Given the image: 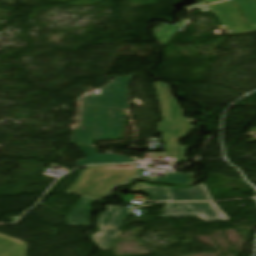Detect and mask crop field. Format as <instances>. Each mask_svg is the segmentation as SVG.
<instances>
[{"instance_id":"5142ce71","label":"crop field","mask_w":256,"mask_h":256,"mask_svg":"<svg viewBox=\"0 0 256 256\" xmlns=\"http://www.w3.org/2000/svg\"><path fill=\"white\" fill-rule=\"evenodd\" d=\"M202 5H206V3L201 1V3H199V4H196V5H193V6H190V7H186V8H183V9L188 10V9H191V8H194V7H198V6H202Z\"/></svg>"},{"instance_id":"cbeb9de0","label":"crop field","mask_w":256,"mask_h":256,"mask_svg":"<svg viewBox=\"0 0 256 256\" xmlns=\"http://www.w3.org/2000/svg\"><path fill=\"white\" fill-rule=\"evenodd\" d=\"M167 176H168L167 179L157 178L156 181L190 184V182H189V176L190 175L167 174Z\"/></svg>"},{"instance_id":"733c2abd","label":"crop field","mask_w":256,"mask_h":256,"mask_svg":"<svg viewBox=\"0 0 256 256\" xmlns=\"http://www.w3.org/2000/svg\"><path fill=\"white\" fill-rule=\"evenodd\" d=\"M199 10L202 11V12H210L209 6L203 7V8H199Z\"/></svg>"},{"instance_id":"ac0d7876","label":"crop field","mask_w":256,"mask_h":256,"mask_svg":"<svg viewBox=\"0 0 256 256\" xmlns=\"http://www.w3.org/2000/svg\"><path fill=\"white\" fill-rule=\"evenodd\" d=\"M160 100L163 122L159 123L166 152L155 153L152 158L168 159L174 164L190 161L183 156L184 147L180 140L187 138L192 131L190 121L185 119V111L173 100L166 83L155 82Z\"/></svg>"},{"instance_id":"34b2d1b8","label":"crop field","mask_w":256,"mask_h":256,"mask_svg":"<svg viewBox=\"0 0 256 256\" xmlns=\"http://www.w3.org/2000/svg\"><path fill=\"white\" fill-rule=\"evenodd\" d=\"M136 164L91 166L82 171L78 181L66 193H76L97 201L109 197L112 187L139 176Z\"/></svg>"},{"instance_id":"5a996713","label":"crop field","mask_w":256,"mask_h":256,"mask_svg":"<svg viewBox=\"0 0 256 256\" xmlns=\"http://www.w3.org/2000/svg\"><path fill=\"white\" fill-rule=\"evenodd\" d=\"M173 201L212 200L204 184L189 189H173L166 187Z\"/></svg>"},{"instance_id":"d9b57169","label":"crop field","mask_w":256,"mask_h":256,"mask_svg":"<svg viewBox=\"0 0 256 256\" xmlns=\"http://www.w3.org/2000/svg\"><path fill=\"white\" fill-rule=\"evenodd\" d=\"M202 1H204V2H206V3H208V4H211V3L220 2V1H222V0H202Z\"/></svg>"},{"instance_id":"3316defc","label":"crop field","mask_w":256,"mask_h":256,"mask_svg":"<svg viewBox=\"0 0 256 256\" xmlns=\"http://www.w3.org/2000/svg\"><path fill=\"white\" fill-rule=\"evenodd\" d=\"M26 243L0 234V256H25Z\"/></svg>"},{"instance_id":"412701ff","label":"crop field","mask_w":256,"mask_h":256,"mask_svg":"<svg viewBox=\"0 0 256 256\" xmlns=\"http://www.w3.org/2000/svg\"><path fill=\"white\" fill-rule=\"evenodd\" d=\"M228 30L229 36L256 32V0H233L210 6Z\"/></svg>"},{"instance_id":"8a807250","label":"crop field","mask_w":256,"mask_h":256,"mask_svg":"<svg viewBox=\"0 0 256 256\" xmlns=\"http://www.w3.org/2000/svg\"><path fill=\"white\" fill-rule=\"evenodd\" d=\"M134 75L120 77L102 88L101 95L85 98L81 126L73 130L72 143L93 145V139L123 137L127 85Z\"/></svg>"},{"instance_id":"f4fd0767","label":"crop field","mask_w":256,"mask_h":256,"mask_svg":"<svg viewBox=\"0 0 256 256\" xmlns=\"http://www.w3.org/2000/svg\"><path fill=\"white\" fill-rule=\"evenodd\" d=\"M108 210L100 215L97 220L98 232L90 235L96 245L102 250L110 249L120 235L117 228L123 223L129 208L107 206Z\"/></svg>"},{"instance_id":"d1516ede","label":"crop field","mask_w":256,"mask_h":256,"mask_svg":"<svg viewBox=\"0 0 256 256\" xmlns=\"http://www.w3.org/2000/svg\"><path fill=\"white\" fill-rule=\"evenodd\" d=\"M187 21H180L176 24L167 25L162 24L154 33V35L160 40V43L164 44L168 42L178 29H182Z\"/></svg>"},{"instance_id":"dd49c442","label":"crop field","mask_w":256,"mask_h":256,"mask_svg":"<svg viewBox=\"0 0 256 256\" xmlns=\"http://www.w3.org/2000/svg\"><path fill=\"white\" fill-rule=\"evenodd\" d=\"M161 217H200L207 222L229 219L213 202L167 204Z\"/></svg>"},{"instance_id":"d8731c3e","label":"crop field","mask_w":256,"mask_h":256,"mask_svg":"<svg viewBox=\"0 0 256 256\" xmlns=\"http://www.w3.org/2000/svg\"><path fill=\"white\" fill-rule=\"evenodd\" d=\"M87 155L86 159L76 161L77 166L103 163L135 162L134 159L125 157L122 154L98 155L96 147L79 146Z\"/></svg>"},{"instance_id":"22f410ed","label":"crop field","mask_w":256,"mask_h":256,"mask_svg":"<svg viewBox=\"0 0 256 256\" xmlns=\"http://www.w3.org/2000/svg\"><path fill=\"white\" fill-rule=\"evenodd\" d=\"M98 94H100V90L94 93H91L87 96L98 95ZM87 96H84V97H87ZM84 97L77 100L73 129L80 126Z\"/></svg>"},{"instance_id":"e52e79f7","label":"crop field","mask_w":256,"mask_h":256,"mask_svg":"<svg viewBox=\"0 0 256 256\" xmlns=\"http://www.w3.org/2000/svg\"><path fill=\"white\" fill-rule=\"evenodd\" d=\"M92 202L82 198L69 212L67 226L90 228Z\"/></svg>"},{"instance_id":"28ad6ade","label":"crop field","mask_w":256,"mask_h":256,"mask_svg":"<svg viewBox=\"0 0 256 256\" xmlns=\"http://www.w3.org/2000/svg\"><path fill=\"white\" fill-rule=\"evenodd\" d=\"M140 189L148 192L150 201H172L164 186H151L139 183L132 187L130 191L137 192Z\"/></svg>"}]
</instances>
